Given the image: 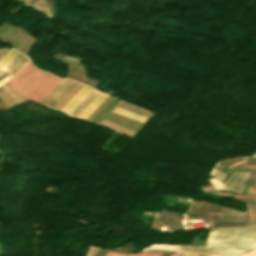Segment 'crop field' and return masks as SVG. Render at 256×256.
<instances>
[{
	"mask_svg": "<svg viewBox=\"0 0 256 256\" xmlns=\"http://www.w3.org/2000/svg\"><path fill=\"white\" fill-rule=\"evenodd\" d=\"M237 172L232 173L224 182L223 184L226 186L229 183V180L236 174ZM243 173V172H242ZM242 173H238L235 178L231 181V183L229 184V186L227 187V190H231V188L233 187L234 183L236 182L237 178L239 176H241ZM251 172H244L241 179L237 182V184L235 185V187L233 188L232 191L234 192H243L244 191V181L247 179V177L250 175ZM212 185L215 187V189H224L225 187L222 185V183L216 179H210Z\"/></svg>",
	"mask_w": 256,
	"mask_h": 256,
	"instance_id": "obj_4",
	"label": "crop field"
},
{
	"mask_svg": "<svg viewBox=\"0 0 256 256\" xmlns=\"http://www.w3.org/2000/svg\"><path fill=\"white\" fill-rule=\"evenodd\" d=\"M238 213V210H233V209H227L225 208L223 211V214L221 216V219H229V220H234L236 215ZM242 219H246V215L243 212H239L236 220H242Z\"/></svg>",
	"mask_w": 256,
	"mask_h": 256,
	"instance_id": "obj_11",
	"label": "crop field"
},
{
	"mask_svg": "<svg viewBox=\"0 0 256 256\" xmlns=\"http://www.w3.org/2000/svg\"><path fill=\"white\" fill-rule=\"evenodd\" d=\"M19 103L24 102L28 99L20 95L18 92L10 88L8 85L4 87ZM1 89L9 99L15 104H19L5 89ZM0 90V98L6 103V105L11 109L14 104L7 98V96Z\"/></svg>",
	"mask_w": 256,
	"mask_h": 256,
	"instance_id": "obj_7",
	"label": "crop field"
},
{
	"mask_svg": "<svg viewBox=\"0 0 256 256\" xmlns=\"http://www.w3.org/2000/svg\"><path fill=\"white\" fill-rule=\"evenodd\" d=\"M100 92L95 89L82 101V103L70 114V116L76 117L88 104H90Z\"/></svg>",
	"mask_w": 256,
	"mask_h": 256,
	"instance_id": "obj_10",
	"label": "crop field"
},
{
	"mask_svg": "<svg viewBox=\"0 0 256 256\" xmlns=\"http://www.w3.org/2000/svg\"><path fill=\"white\" fill-rule=\"evenodd\" d=\"M183 255V253L182 252H180V253H178L177 255H175V256H182Z\"/></svg>",
	"mask_w": 256,
	"mask_h": 256,
	"instance_id": "obj_31",
	"label": "crop field"
},
{
	"mask_svg": "<svg viewBox=\"0 0 256 256\" xmlns=\"http://www.w3.org/2000/svg\"><path fill=\"white\" fill-rule=\"evenodd\" d=\"M246 164H256V158L255 157H246L245 162ZM239 170H254L256 171V169H247V168H239Z\"/></svg>",
	"mask_w": 256,
	"mask_h": 256,
	"instance_id": "obj_22",
	"label": "crop field"
},
{
	"mask_svg": "<svg viewBox=\"0 0 256 256\" xmlns=\"http://www.w3.org/2000/svg\"><path fill=\"white\" fill-rule=\"evenodd\" d=\"M78 83L66 94V96L54 107V109L74 90ZM83 85H78L75 90L56 108L60 110L81 88Z\"/></svg>",
	"mask_w": 256,
	"mask_h": 256,
	"instance_id": "obj_13",
	"label": "crop field"
},
{
	"mask_svg": "<svg viewBox=\"0 0 256 256\" xmlns=\"http://www.w3.org/2000/svg\"><path fill=\"white\" fill-rule=\"evenodd\" d=\"M243 199L256 202V188L248 186L247 192Z\"/></svg>",
	"mask_w": 256,
	"mask_h": 256,
	"instance_id": "obj_20",
	"label": "crop field"
},
{
	"mask_svg": "<svg viewBox=\"0 0 256 256\" xmlns=\"http://www.w3.org/2000/svg\"><path fill=\"white\" fill-rule=\"evenodd\" d=\"M242 165V164H241ZM241 165H237V166H235V167H233L232 169H230V170H235V169H237L239 166H241Z\"/></svg>",
	"mask_w": 256,
	"mask_h": 256,
	"instance_id": "obj_29",
	"label": "crop field"
},
{
	"mask_svg": "<svg viewBox=\"0 0 256 256\" xmlns=\"http://www.w3.org/2000/svg\"><path fill=\"white\" fill-rule=\"evenodd\" d=\"M107 97V95L101 93L89 106H87L78 116L82 120H85L96 107Z\"/></svg>",
	"mask_w": 256,
	"mask_h": 256,
	"instance_id": "obj_9",
	"label": "crop field"
},
{
	"mask_svg": "<svg viewBox=\"0 0 256 256\" xmlns=\"http://www.w3.org/2000/svg\"><path fill=\"white\" fill-rule=\"evenodd\" d=\"M61 80L34 68L29 60L11 79V87L40 103Z\"/></svg>",
	"mask_w": 256,
	"mask_h": 256,
	"instance_id": "obj_2",
	"label": "crop field"
},
{
	"mask_svg": "<svg viewBox=\"0 0 256 256\" xmlns=\"http://www.w3.org/2000/svg\"><path fill=\"white\" fill-rule=\"evenodd\" d=\"M21 54V53H20ZM18 55L12 63L5 69V71L9 72L11 78L19 71V69L28 61V58Z\"/></svg>",
	"mask_w": 256,
	"mask_h": 256,
	"instance_id": "obj_8",
	"label": "crop field"
},
{
	"mask_svg": "<svg viewBox=\"0 0 256 256\" xmlns=\"http://www.w3.org/2000/svg\"><path fill=\"white\" fill-rule=\"evenodd\" d=\"M118 107H121V108H123V109L132 111V112L137 113V114H140V115H143V116L148 117V118H150V117L153 115V114H151V113H148V112H146V111H143V110H141V109H138V108H136V107H134V106H131V105H129V104H126V103H124V102H120L119 105H118Z\"/></svg>",
	"mask_w": 256,
	"mask_h": 256,
	"instance_id": "obj_14",
	"label": "crop field"
},
{
	"mask_svg": "<svg viewBox=\"0 0 256 256\" xmlns=\"http://www.w3.org/2000/svg\"><path fill=\"white\" fill-rule=\"evenodd\" d=\"M176 252H169V251H163L162 256H170L172 254H175Z\"/></svg>",
	"mask_w": 256,
	"mask_h": 256,
	"instance_id": "obj_26",
	"label": "crop field"
},
{
	"mask_svg": "<svg viewBox=\"0 0 256 256\" xmlns=\"http://www.w3.org/2000/svg\"><path fill=\"white\" fill-rule=\"evenodd\" d=\"M198 254H188V253H185L184 256H197Z\"/></svg>",
	"mask_w": 256,
	"mask_h": 256,
	"instance_id": "obj_28",
	"label": "crop field"
},
{
	"mask_svg": "<svg viewBox=\"0 0 256 256\" xmlns=\"http://www.w3.org/2000/svg\"><path fill=\"white\" fill-rule=\"evenodd\" d=\"M251 225H256V204L247 202Z\"/></svg>",
	"mask_w": 256,
	"mask_h": 256,
	"instance_id": "obj_17",
	"label": "crop field"
},
{
	"mask_svg": "<svg viewBox=\"0 0 256 256\" xmlns=\"http://www.w3.org/2000/svg\"><path fill=\"white\" fill-rule=\"evenodd\" d=\"M19 53L11 50L1 61L0 68L5 69Z\"/></svg>",
	"mask_w": 256,
	"mask_h": 256,
	"instance_id": "obj_15",
	"label": "crop field"
},
{
	"mask_svg": "<svg viewBox=\"0 0 256 256\" xmlns=\"http://www.w3.org/2000/svg\"><path fill=\"white\" fill-rule=\"evenodd\" d=\"M195 214L200 216L212 217V218H200V219H219L220 218V215H210V214H205L200 212H196Z\"/></svg>",
	"mask_w": 256,
	"mask_h": 256,
	"instance_id": "obj_23",
	"label": "crop field"
},
{
	"mask_svg": "<svg viewBox=\"0 0 256 256\" xmlns=\"http://www.w3.org/2000/svg\"><path fill=\"white\" fill-rule=\"evenodd\" d=\"M161 251L142 252L139 256H160ZM138 254H128L127 256H137Z\"/></svg>",
	"mask_w": 256,
	"mask_h": 256,
	"instance_id": "obj_21",
	"label": "crop field"
},
{
	"mask_svg": "<svg viewBox=\"0 0 256 256\" xmlns=\"http://www.w3.org/2000/svg\"><path fill=\"white\" fill-rule=\"evenodd\" d=\"M100 124H101V125H104V126H106V127H109V128H111V129H113V130H115V131H117V132H121V133H124V134H127V135L133 136V135L135 134V132H132V131H129V130H127V129H124V128H121V127L112 125V124L107 123V122H104V121H102Z\"/></svg>",
	"mask_w": 256,
	"mask_h": 256,
	"instance_id": "obj_18",
	"label": "crop field"
},
{
	"mask_svg": "<svg viewBox=\"0 0 256 256\" xmlns=\"http://www.w3.org/2000/svg\"><path fill=\"white\" fill-rule=\"evenodd\" d=\"M256 248V227L242 229H214L209 233L207 246L151 245L144 250H182L236 256Z\"/></svg>",
	"mask_w": 256,
	"mask_h": 256,
	"instance_id": "obj_1",
	"label": "crop field"
},
{
	"mask_svg": "<svg viewBox=\"0 0 256 256\" xmlns=\"http://www.w3.org/2000/svg\"><path fill=\"white\" fill-rule=\"evenodd\" d=\"M75 84L63 79L41 103L53 108Z\"/></svg>",
	"mask_w": 256,
	"mask_h": 256,
	"instance_id": "obj_3",
	"label": "crop field"
},
{
	"mask_svg": "<svg viewBox=\"0 0 256 256\" xmlns=\"http://www.w3.org/2000/svg\"><path fill=\"white\" fill-rule=\"evenodd\" d=\"M22 1H24V0H22Z\"/></svg>",
	"mask_w": 256,
	"mask_h": 256,
	"instance_id": "obj_34",
	"label": "crop field"
},
{
	"mask_svg": "<svg viewBox=\"0 0 256 256\" xmlns=\"http://www.w3.org/2000/svg\"><path fill=\"white\" fill-rule=\"evenodd\" d=\"M199 207H203V208H207V209H211V210H215V211H219V212H222L223 209H224L222 207H218V206H215V205H212V204H208V203L203 202V201L200 202ZM199 207L197 209L210 211V212H215V211H211V210H207V209H203V208H199ZM219 212H215V213H219Z\"/></svg>",
	"mask_w": 256,
	"mask_h": 256,
	"instance_id": "obj_19",
	"label": "crop field"
},
{
	"mask_svg": "<svg viewBox=\"0 0 256 256\" xmlns=\"http://www.w3.org/2000/svg\"><path fill=\"white\" fill-rule=\"evenodd\" d=\"M198 256H203V255L199 254Z\"/></svg>",
	"mask_w": 256,
	"mask_h": 256,
	"instance_id": "obj_33",
	"label": "crop field"
},
{
	"mask_svg": "<svg viewBox=\"0 0 256 256\" xmlns=\"http://www.w3.org/2000/svg\"><path fill=\"white\" fill-rule=\"evenodd\" d=\"M242 159H245V157L235 158V159H233L232 161H229V162L223 164L222 166H226V165L230 164L231 162H233V161H235V160H242ZM227 160H229V159H227ZM227 160H221V161H218V163H222V162L227 161Z\"/></svg>",
	"mask_w": 256,
	"mask_h": 256,
	"instance_id": "obj_25",
	"label": "crop field"
},
{
	"mask_svg": "<svg viewBox=\"0 0 256 256\" xmlns=\"http://www.w3.org/2000/svg\"><path fill=\"white\" fill-rule=\"evenodd\" d=\"M126 253L109 251L106 256H124Z\"/></svg>",
	"mask_w": 256,
	"mask_h": 256,
	"instance_id": "obj_24",
	"label": "crop field"
},
{
	"mask_svg": "<svg viewBox=\"0 0 256 256\" xmlns=\"http://www.w3.org/2000/svg\"><path fill=\"white\" fill-rule=\"evenodd\" d=\"M210 227H225V226H247L248 222L237 221H207Z\"/></svg>",
	"mask_w": 256,
	"mask_h": 256,
	"instance_id": "obj_12",
	"label": "crop field"
},
{
	"mask_svg": "<svg viewBox=\"0 0 256 256\" xmlns=\"http://www.w3.org/2000/svg\"><path fill=\"white\" fill-rule=\"evenodd\" d=\"M243 166L256 167V165H243Z\"/></svg>",
	"mask_w": 256,
	"mask_h": 256,
	"instance_id": "obj_30",
	"label": "crop field"
},
{
	"mask_svg": "<svg viewBox=\"0 0 256 256\" xmlns=\"http://www.w3.org/2000/svg\"><path fill=\"white\" fill-rule=\"evenodd\" d=\"M113 99V97L108 96L98 107L97 109L86 119V121L91 122L101 111L102 109Z\"/></svg>",
	"mask_w": 256,
	"mask_h": 256,
	"instance_id": "obj_16",
	"label": "crop field"
},
{
	"mask_svg": "<svg viewBox=\"0 0 256 256\" xmlns=\"http://www.w3.org/2000/svg\"><path fill=\"white\" fill-rule=\"evenodd\" d=\"M92 90L84 86L60 111L69 115Z\"/></svg>",
	"mask_w": 256,
	"mask_h": 256,
	"instance_id": "obj_6",
	"label": "crop field"
},
{
	"mask_svg": "<svg viewBox=\"0 0 256 256\" xmlns=\"http://www.w3.org/2000/svg\"><path fill=\"white\" fill-rule=\"evenodd\" d=\"M243 256H256V250Z\"/></svg>",
	"mask_w": 256,
	"mask_h": 256,
	"instance_id": "obj_27",
	"label": "crop field"
},
{
	"mask_svg": "<svg viewBox=\"0 0 256 256\" xmlns=\"http://www.w3.org/2000/svg\"><path fill=\"white\" fill-rule=\"evenodd\" d=\"M24 3L32 8L42 11L49 18L54 15L55 7L50 0H25Z\"/></svg>",
	"mask_w": 256,
	"mask_h": 256,
	"instance_id": "obj_5",
	"label": "crop field"
},
{
	"mask_svg": "<svg viewBox=\"0 0 256 256\" xmlns=\"http://www.w3.org/2000/svg\"><path fill=\"white\" fill-rule=\"evenodd\" d=\"M4 73H5V72H3V71L0 70V76H2Z\"/></svg>",
	"mask_w": 256,
	"mask_h": 256,
	"instance_id": "obj_32",
	"label": "crop field"
}]
</instances>
